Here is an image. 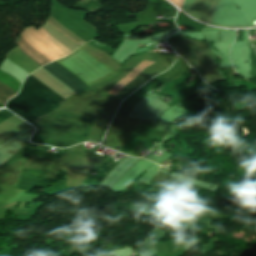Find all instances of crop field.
Here are the masks:
<instances>
[{
	"label": "crop field",
	"mask_w": 256,
	"mask_h": 256,
	"mask_svg": "<svg viewBox=\"0 0 256 256\" xmlns=\"http://www.w3.org/2000/svg\"><path fill=\"white\" fill-rule=\"evenodd\" d=\"M26 39V38H25ZM25 39H24V37L21 35V36H19L18 37V39H17V41L15 42V43H17L18 45H19V47H20V49H22L23 51H24V53H26L30 58H32L35 62H37V63H39V64H41L42 66L43 65H45V64H47V63H50V62H52V61H50L48 58H46L43 54H41L38 50H36V49H34L29 43H27L26 41H25ZM27 40V39H26ZM16 44V45H17ZM23 53V52H22ZM23 53V54H24ZM26 55V56H27ZM27 56V57H28ZM31 59V60H32Z\"/></svg>",
	"instance_id": "obj_2"
},
{
	"label": "crop field",
	"mask_w": 256,
	"mask_h": 256,
	"mask_svg": "<svg viewBox=\"0 0 256 256\" xmlns=\"http://www.w3.org/2000/svg\"><path fill=\"white\" fill-rule=\"evenodd\" d=\"M44 69H46L49 73H51L55 78H57L58 80H60L62 83H64L65 85H67L68 87H70L72 90L76 91L77 94L82 92L75 84H73L71 81H69L67 78H65L64 76H62L60 73H58L57 71H55L54 69H52L50 66L46 65L44 67H42Z\"/></svg>",
	"instance_id": "obj_3"
},
{
	"label": "crop field",
	"mask_w": 256,
	"mask_h": 256,
	"mask_svg": "<svg viewBox=\"0 0 256 256\" xmlns=\"http://www.w3.org/2000/svg\"><path fill=\"white\" fill-rule=\"evenodd\" d=\"M53 68H55L57 71H59L61 74H63L65 77H67L68 79H70L72 82H74L77 86H79L81 89H89V87H87L85 84H83L82 82H80L76 77H74L70 72H68L67 70H65L64 68H62L60 65H58L57 63L53 62L51 64Z\"/></svg>",
	"instance_id": "obj_4"
},
{
	"label": "crop field",
	"mask_w": 256,
	"mask_h": 256,
	"mask_svg": "<svg viewBox=\"0 0 256 256\" xmlns=\"http://www.w3.org/2000/svg\"><path fill=\"white\" fill-rule=\"evenodd\" d=\"M22 206H23V203L21 204V206H20V208H19V209H21V208H22Z\"/></svg>",
	"instance_id": "obj_8"
},
{
	"label": "crop field",
	"mask_w": 256,
	"mask_h": 256,
	"mask_svg": "<svg viewBox=\"0 0 256 256\" xmlns=\"http://www.w3.org/2000/svg\"><path fill=\"white\" fill-rule=\"evenodd\" d=\"M45 86L28 76L20 93L5 108L34 126L65 100Z\"/></svg>",
	"instance_id": "obj_1"
},
{
	"label": "crop field",
	"mask_w": 256,
	"mask_h": 256,
	"mask_svg": "<svg viewBox=\"0 0 256 256\" xmlns=\"http://www.w3.org/2000/svg\"><path fill=\"white\" fill-rule=\"evenodd\" d=\"M143 244H144V243H143ZM143 244L140 245V249L137 251V255L141 253V251H142V245H143Z\"/></svg>",
	"instance_id": "obj_6"
},
{
	"label": "crop field",
	"mask_w": 256,
	"mask_h": 256,
	"mask_svg": "<svg viewBox=\"0 0 256 256\" xmlns=\"http://www.w3.org/2000/svg\"><path fill=\"white\" fill-rule=\"evenodd\" d=\"M15 93L10 87L0 82V103L4 106L5 102L14 97Z\"/></svg>",
	"instance_id": "obj_5"
},
{
	"label": "crop field",
	"mask_w": 256,
	"mask_h": 256,
	"mask_svg": "<svg viewBox=\"0 0 256 256\" xmlns=\"http://www.w3.org/2000/svg\"><path fill=\"white\" fill-rule=\"evenodd\" d=\"M15 206H17V205H16V204H14V205H12V206H10V207L6 208V209L8 210V209H11V208H13V207H15Z\"/></svg>",
	"instance_id": "obj_7"
}]
</instances>
